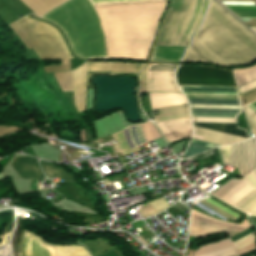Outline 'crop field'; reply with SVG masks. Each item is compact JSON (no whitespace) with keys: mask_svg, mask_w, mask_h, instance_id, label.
Here are the masks:
<instances>
[{"mask_svg":"<svg viewBox=\"0 0 256 256\" xmlns=\"http://www.w3.org/2000/svg\"><path fill=\"white\" fill-rule=\"evenodd\" d=\"M169 206L170 205L167 204L162 197H160V198L146 204L143 208H141L139 210V212L142 215V217H146V216L156 214V213L166 209Z\"/></svg>","mask_w":256,"mask_h":256,"instance_id":"crop-field-18","label":"crop field"},{"mask_svg":"<svg viewBox=\"0 0 256 256\" xmlns=\"http://www.w3.org/2000/svg\"><path fill=\"white\" fill-rule=\"evenodd\" d=\"M255 60L256 36L214 0H210L183 62L232 66L250 64Z\"/></svg>","mask_w":256,"mask_h":256,"instance_id":"crop-field-1","label":"crop field"},{"mask_svg":"<svg viewBox=\"0 0 256 256\" xmlns=\"http://www.w3.org/2000/svg\"><path fill=\"white\" fill-rule=\"evenodd\" d=\"M226 7H253L256 8V0H219ZM253 8H228L238 17H256V9ZM248 26H256V18H240Z\"/></svg>","mask_w":256,"mask_h":256,"instance_id":"crop-field-13","label":"crop field"},{"mask_svg":"<svg viewBox=\"0 0 256 256\" xmlns=\"http://www.w3.org/2000/svg\"><path fill=\"white\" fill-rule=\"evenodd\" d=\"M220 150L224 163L232 164L239 170L242 177L246 176L238 145L224 146ZM240 180L250 187L239 180L231 179L212 194L226 202L249 187L226 203L245 213L254 215L256 213V170Z\"/></svg>","mask_w":256,"mask_h":256,"instance_id":"crop-field-6","label":"crop field"},{"mask_svg":"<svg viewBox=\"0 0 256 256\" xmlns=\"http://www.w3.org/2000/svg\"><path fill=\"white\" fill-rule=\"evenodd\" d=\"M176 79L178 84L236 86L231 70L206 66L180 65Z\"/></svg>","mask_w":256,"mask_h":256,"instance_id":"crop-field-7","label":"crop field"},{"mask_svg":"<svg viewBox=\"0 0 256 256\" xmlns=\"http://www.w3.org/2000/svg\"><path fill=\"white\" fill-rule=\"evenodd\" d=\"M62 91H74V105L78 111L85 110L87 62L71 72L55 73Z\"/></svg>","mask_w":256,"mask_h":256,"instance_id":"crop-field-10","label":"crop field"},{"mask_svg":"<svg viewBox=\"0 0 256 256\" xmlns=\"http://www.w3.org/2000/svg\"><path fill=\"white\" fill-rule=\"evenodd\" d=\"M250 218L252 219V221H253V223H254V226H255V228H256V217L251 216Z\"/></svg>","mask_w":256,"mask_h":256,"instance_id":"crop-field-22","label":"crop field"},{"mask_svg":"<svg viewBox=\"0 0 256 256\" xmlns=\"http://www.w3.org/2000/svg\"><path fill=\"white\" fill-rule=\"evenodd\" d=\"M193 125L196 127L208 128V129L219 130V131L247 136L246 131L236 128V124L193 123ZM196 127H194V131L205 133V137L202 135H199L202 133L195 134L196 133L195 132L193 138L198 140H203V137H204L203 141H206V142L226 145V144H232V143H236V142L248 139V137H245V136H239V135H234L229 133L196 128Z\"/></svg>","mask_w":256,"mask_h":256,"instance_id":"crop-field-9","label":"crop field"},{"mask_svg":"<svg viewBox=\"0 0 256 256\" xmlns=\"http://www.w3.org/2000/svg\"><path fill=\"white\" fill-rule=\"evenodd\" d=\"M25 234L37 239L43 246L47 247L52 256H89L87 251L81 246L54 247L46 244L42 238L34 235L28 230H25ZM25 234L22 240L24 256H51L48 249Z\"/></svg>","mask_w":256,"mask_h":256,"instance_id":"crop-field-8","label":"crop field"},{"mask_svg":"<svg viewBox=\"0 0 256 256\" xmlns=\"http://www.w3.org/2000/svg\"><path fill=\"white\" fill-rule=\"evenodd\" d=\"M40 164L46 177L48 178L62 177L64 182L74 183L73 176L66 173L63 169L47 164L42 161H40Z\"/></svg>","mask_w":256,"mask_h":256,"instance_id":"crop-field-17","label":"crop field"},{"mask_svg":"<svg viewBox=\"0 0 256 256\" xmlns=\"http://www.w3.org/2000/svg\"><path fill=\"white\" fill-rule=\"evenodd\" d=\"M207 0H172L154 46L187 47L206 9Z\"/></svg>","mask_w":256,"mask_h":256,"instance_id":"crop-field-4","label":"crop field"},{"mask_svg":"<svg viewBox=\"0 0 256 256\" xmlns=\"http://www.w3.org/2000/svg\"><path fill=\"white\" fill-rule=\"evenodd\" d=\"M166 3L94 7L105 34L108 59L147 60Z\"/></svg>","mask_w":256,"mask_h":256,"instance_id":"crop-field-2","label":"crop field"},{"mask_svg":"<svg viewBox=\"0 0 256 256\" xmlns=\"http://www.w3.org/2000/svg\"><path fill=\"white\" fill-rule=\"evenodd\" d=\"M27 49L40 59H61L62 65L44 67L46 72L70 70L68 53L60 33L50 25L24 17L9 24Z\"/></svg>","mask_w":256,"mask_h":256,"instance_id":"crop-field-5","label":"crop field"},{"mask_svg":"<svg viewBox=\"0 0 256 256\" xmlns=\"http://www.w3.org/2000/svg\"><path fill=\"white\" fill-rule=\"evenodd\" d=\"M11 166L17 171L21 178H45L36 162L30 156L16 157Z\"/></svg>","mask_w":256,"mask_h":256,"instance_id":"crop-field-14","label":"crop field"},{"mask_svg":"<svg viewBox=\"0 0 256 256\" xmlns=\"http://www.w3.org/2000/svg\"><path fill=\"white\" fill-rule=\"evenodd\" d=\"M185 48L154 47L150 59L181 60Z\"/></svg>","mask_w":256,"mask_h":256,"instance_id":"crop-field-15","label":"crop field"},{"mask_svg":"<svg viewBox=\"0 0 256 256\" xmlns=\"http://www.w3.org/2000/svg\"><path fill=\"white\" fill-rule=\"evenodd\" d=\"M65 33L79 58H106L105 43L97 15L87 0H69L41 16Z\"/></svg>","mask_w":256,"mask_h":256,"instance_id":"crop-field-3","label":"crop field"},{"mask_svg":"<svg viewBox=\"0 0 256 256\" xmlns=\"http://www.w3.org/2000/svg\"><path fill=\"white\" fill-rule=\"evenodd\" d=\"M256 87V81L239 88L240 94ZM242 103L256 99V88L240 95Z\"/></svg>","mask_w":256,"mask_h":256,"instance_id":"crop-field-21","label":"crop field"},{"mask_svg":"<svg viewBox=\"0 0 256 256\" xmlns=\"http://www.w3.org/2000/svg\"><path fill=\"white\" fill-rule=\"evenodd\" d=\"M217 146H219V145L201 142V141L193 139L191 141V143L189 144V146L187 147V149L184 153V156L189 157L192 155H196V154H199L203 151H206L208 149H211V148L217 147Z\"/></svg>","mask_w":256,"mask_h":256,"instance_id":"crop-field-19","label":"crop field"},{"mask_svg":"<svg viewBox=\"0 0 256 256\" xmlns=\"http://www.w3.org/2000/svg\"><path fill=\"white\" fill-rule=\"evenodd\" d=\"M190 225L217 233L225 232L229 237L249 227L246 220L237 225L212 219L194 210H192Z\"/></svg>","mask_w":256,"mask_h":256,"instance_id":"crop-field-12","label":"crop field"},{"mask_svg":"<svg viewBox=\"0 0 256 256\" xmlns=\"http://www.w3.org/2000/svg\"><path fill=\"white\" fill-rule=\"evenodd\" d=\"M253 245H255V242H254L253 234L251 233L233 243L229 238L221 241L209 243L201 247L200 249H198L193 256H215L218 254L230 252L233 250H237V249H241V248H245ZM255 249L256 247L254 246V247H250V248H246V249H242V250H238V251H234V252H230V253H226L218 256H242Z\"/></svg>","mask_w":256,"mask_h":256,"instance_id":"crop-field-11","label":"crop field"},{"mask_svg":"<svg viewBox=\"0 0 256 256\" xmlns=\"http://www.w3.org/2000/svg\"><path fill=\"white\" fill-rule=\"evenodd\" d=\"M93 6L101 5H116V4H130V3H145V2H160L167 0H90Z\"/></svg>","mask_w":256,"mask_h":256,"instance_id":"crop-field-20","label":"crop field"},{"mask_svg":"<svg viewBox=\"0 0 256 256\" xmlns=\"http://www.w3.org/2000/svg\"><path fill=\"white\" fill-rule=\"evenodd\" d=\"M138 223L140 224V226L145 225V223L143 221H139Z\"/></svg>","mask_w":256,"mask_h":256,"instance_id":"crop-field-23","label":"crop field"},{"mask_svg":"<svg viewBox=\"0 0 256 256\" xmlns=\"http://www.w3.org/2000/svg\"><path fill=\"white\" fill-rule=\"evenodd\" d=\"M28 6L35 14L41 16L47 10L57 6L66 0H21Z\"/></svg>","mask_w":256,"mask_h":256,"instance_id":"crop-field-16","label":"crop field"}]
</instances>
